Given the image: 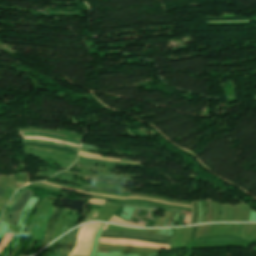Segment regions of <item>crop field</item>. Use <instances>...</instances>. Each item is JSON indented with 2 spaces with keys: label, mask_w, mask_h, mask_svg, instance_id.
Segmentation results:
<instances>
[{
  "label": "crop field",
  "mask_w": 256,
  "mask_h": 256,
  "mask_svg": "<svg viewBox=\"0 0 256 256\" xmlns=\"http://www.w3.org/2000/svg\"><path fill=\"white\" fill-rule=\"evenodd\" d=\"M99 223H90L81 227L78 237H77V246L72 251L69 256H87L91 252L93 240L95 234L99 228Z\"/></svg>",
  "instance_id": "crop-field-1"
},
{
  "label": "crop field",
  "mask_w": 256,
  "mask_h": 256,
  "mask_svg": "<svg viewBox=\"0 0 256 256\" xmlns=\"http://www.w3.org/2000/svg\"><path fill=\"white\" fill-rule=\"evenodd\" d=\"M101 237L144 240V241H150V242H155V243H160V244H169V242H170V241L154 240V239H147V238H141V237H123V236H106V235H101Z\"/></svg>",
  "instance_id": "crop-field-9"
},
{
  "label": "crop field",
  "mask_w": 256,
  "mask_h": 256,
  "mask_svg": "<svg viewBox=\"0 0 256 256\" xmlns=\"http://www.w3.org/2000/svg\"><path fill=\"white\" fill-rule=\"evenodd\" d=\"M190 216H191V215H189V214H185V216H184V222H185V223H187V224L189 223Z\"/></svg>",
  "instance_id": "crop-field-21"
},
{
  "label": "crop field",
  "mask_w": 256,
  "mask_h": 256,
  "mask_svg": "<svg viewBox=\"0 0 256 256\" xmlns=\"http://www.w3.org/2000/svg\"><path fill=\"white\" fill-rule=\"evenodd\" d=\"M23 138H36V139H43V140L53 141V142H62V141H55V140H50V139H46V138H39V137H23ZM62 143H67V142H62ZM67 144H70V143H67ZM70 145H72V144H70ZM73 146L77 147V145H73Z\"/></svg>",
  "instance_id": "crop-field-20"
},
{
  "label": "crop field",
  "mask_w": 256,
  "mask_h": 256,
  "mask_svg": "<svg viewBox=\"0 0 256 256\" xmlns=\"http://www.w3.org/2000/svg\"><path fill=\"white\" fill-rule=\"evenodd\" d=\"M105 201L99 199H90L89 204H104Z\"/></svg>",
  "instance_id": "crop-field-18"
},
{
  "label": "crop field",
  "mask_w": 256,
  "mask_h": 256,
  "mask_svg": "<svg viewBox=\"0 0 256 256\" xmlns=\"http://www.w3.org/2000/svg\"><path fill=\"white\" fill-rule=\"evenodd\" d=\"M81 148L99 152V150H96L97 149L96 147L85 145V144H83Z\"/></svg>",
  "instance_id": "crop-field-19"
},
{
  "label": "crop field",
  "mask_w": 256,
  "mask_h": 256,
  "mask_svg": "<svg viewBox=\"0 0 256 256\" xmlns=\"http://www.w3.org/2000/svg\"><path fill=\"white\" fill-rule=\"evenodd\" d=\"M76 216H77V214H75V212L73 211L71 216L68 218L66 224L63 227L62 234H64L65 232H67L71 228Z\"/></svg>",
  "instance_id": "crop-field-11"
},
{
  "label": "crop field",
  "mask_w": 256,
  "mask_h": 256,
  "mask_svg": "<svg viewBox=\"0 0 256 256\" xmlns=\"http://www.w3.org/2000/svg\"><path fill=\"white\" fill-rule=\"evenodd\" d=\"M78 228H79V227H78ZM78 228L75 229V231H74L73 240H72V245H71V247L69 248V250L67 251V253H66L65 256H68L69 252H70V251L74 248V246H75V239H76V236H77Z\"/></svg>",
  "instance_id": "crop-field-15"
},
{
  "label": "crop field",
  "mask_w": 256,
  "mask_h": 256,
  "mask_svg": "<svg viewBox=\"0 0 256 256\" xmlns=\"http://www.w3.org/2000/svg\"><path fill=\"white\" fill-rule=\"evenodd\" d=\"M26 147H40V148H45V149H52V150H59L63 151L66 153H72V154H77V150L65 148V147H59V146H53V145H48L44 143H38V142H24Z\"/></svg>",
  "instance_id": "crop-field-6"
},
{
  "label": "crop field",
  "mask_w": 256,
  "mask_h": 256,
  "mask_svg": "<svg viewBox=\"0 0 256 256\" xmlns=\"http://www.w3.org/2000/svg\"><path fill=\"white\" fill-rule=\"evenodd\" d=\"M60 174L69 175V174H66V173H60ZM70 176H73V175H70ZM76 177H79V176H76ZM81 178H84V177H81ZM87 179H89V180H97V179H93V178H87ZM98 181H102V180H98ZM105 182H110V181H105ZM110 183L126 185V183H122V182H110Z\"/></svg>",
  "instance_id": "crop-field-17"
},
{
  "label": "crop field",
  "mask_w": 256,
  "mask_h": 256,
  "mask_svg": "<svg viewBox=\"0 0 256 256\" xmlns=\"http://www.w3.org/2000/svg\"><path fill=\"white\" fill-rule=\"evenodd\" d=\"M25 189L21 188L19 190L16 191L15 195L13 196L12 200L9 202V204L7 205V207L10 208V210L12 209V207L14 206V204L16 203V201L20 198V196L22 195L23 191ZM10 210L7 211L5 210L2 216V220L1 221H7L9 222L10 220Z\"/></svg>",
  "instance_id": "crop-field-7"
},
{
  "label": "crop field",
  "mask_w": 256,
  "mask_h": 256,
  "mask_svg": "<svg viewBox=\"0 0 256 256\" xmlns=\"http://www.w3.org/2000/svg\"><path fill=\"white\" fill-rule=\"evenodd\" d=\"M72 234H73V231L70 232L69 241H68V243H67V245H66L65 250L62 252V254H61L60 256H63L64 253L66 252V250L69 248V246H70V244H71Z\"/></svg>",
  "instance_id": "crop-field-16"
},
{
  "label": "crop field",
  "mask_w": 256,
  "mask_h": 256,
  "mask_svg": "<svg viewBox=\"0 0 256 256\" xmlns=\"http://www.w3.org/2000/svg\"><path fill=\"white\" fill-rule=\"evenodd\" d=\"M41 183H44V184H47V185H51V186H55V187H59V188H64V187H62V186H57V185H53V184H49V183H45V182H41ZM69 189H71V188H69ZM71 191H75V192H79V193H83V194L101 195V196H106V197H111V198H116V199L136 198V199H142V200H148V201H155V202H161V203H165V204H169V205H175V206H182V207H189V208H191V206H189V205H182V204L164 202V201H160V200L147 199V198H139V197H118V196H112V195H106V194H98V193H91V192H86V191H79V190H75V189H71Z\"/></svg>",
  "instance_id": "crop-field-3"
},
{
  "label": "crop field",
  "mask_w": 256,
  "mask_h": 256,
  "mask_svg": "<svg viewBox=\"0 0 256 256\" xmlns=\"http://www.w3.org/2000/svg\"><path fill=\"white\" fill-rule=\"evenodd\" d=\"M80 157H86V158H92V159H98V160H106V161H114V162H125V161H119L117 159H111V158H105L102 157L100 155H94V154H89V153H85V152H79ZM126 163H136V162H126ZM141 164V163H138Z\"/></svg>",
  "instance_id": "crop-field-8"
},
{
  "label": "crop field",
  "mask_w": 256,
  "mask_h": 256,
  "mask_svg": "<svg viewBox=\"0 0 256 256\" xmlns=\"http://www.w3.org/2000/svg\"><path fill=\"white\" fill-rule=\"evenodd\" d=\"M61 212H62V209L56 208L54 213L49 218L48 225H47V230H46V235L44 237V240H43V243H42L40 249L43 248L44 246H46L50 242L53 227H54L55 222L58 219L59 215L61 214Z\"/></svg>",
  "instance_id": "crop-field-5"
},
{
  "label": "crop field",
  "mask_w": 256,
  "mask_h": 256,
  "mask_svg": "<svg viewBox=\"0 0 256 256\" xmlns=\"http://www.w3.org/2000/svg\"><path fill=\"white\" fill-rule=\"evenodd\" d=\"M102 234L124 235V236H141V237H147V238L166 239V240L170 239V237H166V236L150 234V233L131 232V231H102Z\"/></svg>",
  "instance_id": "crop-field-2"
},
{
  "label": "crop field",
  "mask_w": 256,
  "mask_h": 256,
  "mask_svg": "<svg viewBox=\"0 0 256 256\" xmlns=\"http://www.w3.org/2000/svg\"><path fill=\"white\" fill-rule=\"evenodd\" d=\"M109 222H112V223H118V224H124V225H132V226H138V227H144L145 225H137V224H133L131 222H128V221H123L122 219H120L119 217L115 216V215H112L111 219Z\"/></svg>",
  "instance_id": "crop-field-12"
},
{
  "label": "crop field",
  "mask_w": 256,
  "mask_h": 256,
  "mask_svg": "<svg viewBox=\"0 0 256 256\" xmlns=\"http://www.w3.org/2000/svg\"><path fill=\"white\" fill-rule=\"evenodd\" d=\"M31 193L32 192H30V191H25L24 194L21 196L20 200L18 201V203L15 205L14 209L12 210L11 220H10V223L12 225L17 224V220H18L19 214L22 210V207L24 206L26 201L29 199Z\"/></svg>",
  "instance_id": "crop-field-4"
},
{
  "label": "crop field",
  "mask_w": 256,
  "mask_h": 256,
  "mask_svg": "<svg viewBox=\"0 0 256 256\" xmlns=\"http://www.w3.org/2000/svg\"><path fill=\"white\" fill-rule=\"evenodd\" d=\"M4 193V190H2L1 188H0V197H1V195Z\"/></svg>",
  "instance_id": "crop-field-22"
},
{
  "label": "crop field",
  "mask_w": 256,
  "mask_h": 256,
  "mask_svg": "<svg viewBox=\"0 0 256 256\" xmlns=\"http://www.w3.org/2000/svg\"><path fill=\"white\" fill-rule=\"evenodd\" d=\"M63 237H64V236H63ZM63 237H61L60 242H59V244H58V247H57V249L55 250V252L52 254V256H54V255L56 254V252L58 251V249H59L60 246L62 245V243H63ZM67 238H68V233L66 234V239H65V241H64V243H63V245H62V247H61L60 253L57 254L56 256H59V255L61 254V252L63 251V249H64V247H65V244H66V242H67Z\"/></svg>",
  "instance_id": "crop-field-13"
},
{
  "label": "crop field",
  "mask_w": 256,
  "mask_h": 256,
  "mask_svg": "<svg viewBox=\"0 0 256 256\" xmlns=\"http://www.w3.org/2000/svg\"><path fill=\"white\" fill-rule=\"evenodd\" d=\"M125 205H132V206L143 207V208H160V207H156V206H152V205H148V204H142V203H125ZM161 209L179 211V210L168 209V208H161ZM179 212L191 214V212H189V211H179Z\"/></svg>",
  "instance_id": "crop-field-10"
},
{
  "label": "crop field",
  "mask_w": 256,
  "mask_h": 256,
  "mask_svg": "<svg viewBox=\"0 0 256 256\" xmlns=\"http://www.w3.org/2000/svg\"><path fill=\"white\" fill-rule=\"evenodd\" d=\"M82 188L97 189V190H104V191L117 192V193H126V192H131V191H116V190L102 189V188H94V187H87V186H83Z\"/></svg>",
  "instance_id": "crop-field-14"
}]
</instances>
